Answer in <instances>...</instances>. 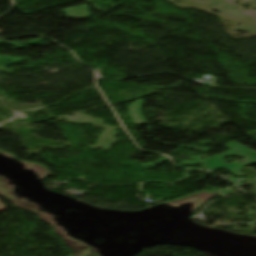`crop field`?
<instances>
[{"label":"crop field","mask_w":256,"mask_h":256,"mask_svg":"<svg viewBox=\"0 0 256 256\" xmlns=\"http://www.w3.org/2000/svg\"><path fill=\"white\" fill-rule=\"evenodd\" d=\"M228 148L232 149L231 151L224 153L219 156H215L212 158L205 159L203 162V166L206 170L213 171L216 168H226L231 173L236 176H243L239 173V170L244 167L246 164H253L256 163V152L251 151L243 146H240L235 143H230L227 146ZM230 155H237L244 157L246 162L244 164H237V163H225L222 158L225 156Z\"/></svg>","instance_id":"1"}]
</instances>
